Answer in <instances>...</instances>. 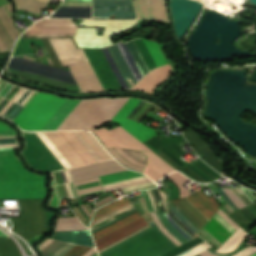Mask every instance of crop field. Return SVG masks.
<instances>
[{
  "mask_svg": "<svg viewBox=\"0 0 256 256\" xmlns=\"http://www.w3.org/2000/svg\"><path fill=\"white\" fill-rule=\"evenodd\" d=\"M128 99H67L42 130H91L110 120Z\"/></svg>",
  "mask_w": 256,
  "mask_h": 256,
  "instance_id": "1",
  "label": "crop field"
},
{
  "mask_svg": "<svg viewBox=\"0 0 256 256\" xmlns=\"http://www.w3.org/2000/svg\"><path fill=\"white\" fill-rule=\"evenodd\" d=\"M129 202L130 201L126 197H124V198H122V199H120V200H118L114 203H111V204L95 211L92 220L101 216V215H103V214H106V213H108V212H110V211H112L116 208H119V207H121V206H123V205H125ZM135 213H137L136 209L133 207V205L131 203H129V204H127V205H125V206H123L119 209H116V210H114V211H112V212H110L106 215H103V216L91 221V233L93 234V233H95V232H97V231H99V230H101L105 227H108V226H110V225H112V224H114V223H116V222H118L122 219H125V218H127V217H129V216H131ZM139 218H141V216H140L139 213H137V214L125 219V220H122V221H120V222H118V223H116V224H114V225H112L108 228H105V229L93 234L92 236L95 240V239H97V238H99V237H101V236H103V235H105L109 232H112V231H114V230H116V229H118V228H120L124 225H127V224H129V223H131V222H133V221H135ZM146 224L147 223L143 220V218H141V219H139V220L127 225V226H124V227H122V228H120V229H118V230H116L112 233H109V234L95 240V243L97 245V249L106 245V244H108V243H110V242H112V241H114V240H116V239H118V238H120V237H122V236H124V235H126V234H128V233H130V232H132V231H134V230H136V229H138V228H140V227H142V226H144V225H146ZM148 228H150V227L147 225V226H145V227H143V228H141V229H139V230H137V231H135V232H133V233H131V234H129V235H127V236H125V237H123V238H121V239H119V240L101 248V249H99L98 252L101 253V252H103V251H105V250H107V249L125 241L126 239H128V238H130V237H132V236H134V235H136V234H138V233H140V232H142V231H144Z\"/></svg>",
  "mask_w": 256,
  "mask_h": 256,
  "instance_id": "2",
  "label": "crop field"
},
{
  "mask_svg": "<svg viewBox=\"0 0 256 256\" xmlns=\"http://www.w3.org/2000/svg\"><path fill=\"white\" fill-rule=\"evenodd\" d=\"M44 180L26 171L14 150L0 151V199H43Z\"/></svg>",
  "mask_w": 256,
  "mask_h": 256,
  "instance_id": "3",
  "label": "crop field"
},
{
  "mask_svg": "<svg viewBox=\"0 0 256 256\" xmlns=\"http://www.w3.org/2000/svg\"><path fill=\"white\" fill-rule=\"evenodd\" d=\"M44 133L73 167L112 158L89 132L70 131Z\"/></svg>",
  "mask_w": 256,
  "mask_h": 256,
  "instance_id": "4",
  "label": "crop field"
},
{
  "mask_svg": "<svg viewBox=\"0 0 256 256\" xmlns=\"http://www.w3.org/2000/svg\"><path fill=\"white\" fill-rule=\"evenodd\" d=\"M77 48L73 38H71ZM54 66L62 67L64 64L74 62L70 68L77 79L81 89H103L94 70L92 69L84 51H76L71 40L50 41L54 53L47 38L41 39Z\"/></svg>",
  "mask_w": 256,
  "mask_h": 256,
  "instance_id": "5",
  "label": "crop field"
},
{
  "mask_svg": "<svg viewBox=\"0 0 256 256\" xmlns=\"http://www.w3.org/2000/svg\"><path fill=\"white\" fill-rule=\"evenodd\" d=\"M21 132L26 143L21 153L31 168L50 173L72 167L43 132Z\"/></svg>",
  "mask_w": 256,
  "mask_h": 256,
  "instance_id": "6",
  "label": "crop field"
},
{
  "mask_svg": "<svg viewBox=\"0 0 256 256\" xmlns=\"http://www.w3.org/2000/svg\"><path fill=\"white\" fill-rule=\"evenodd\" d=\"M183 140H185L183 135L161 140H158L157 136H154L145 142L159 151L158 154L156 153L157 155H159L177 170L193 180L198 182H210L221 178L219 174H217L213 169H211L201 160L192 166H189L184 161H182L179 156L184 153L181 151V147L178 146L175 142Z\"/></svg>",
  "mask_w": 256,
  "mask_h": 256,
  "instance_id": "7",
  "label": "crop field"
},
{
  "mask_svg": "<svg viewBox=\"0 0 256 256\" xmlns=\"http://www.w3.org/2000/svg\"><path fill=\"white\" fill-rule=\"evenodd\" d=\"M175 247L177 246L156 225L99 255L159 256Z\"/></svg>",
  "mask_w": 256,
  "mask_h": 256,
  "instance_id": "8",
  "label": "crop field"
},
{
  "mask_svg": "<svg viewBox=\"0 0 256 256\" xmlns=\"http://www.w3.org/2000/svg\"><path fill=\"white\" fill-rule=\"evenodd\" d=\"M224 192L228 195V197L233 201V203L237 206L238 209L243 208L256 200L249 194L247 189L243 187L239 188H229L223 189ZM222 189H217L218 193L221 195V197L224 199L227 205H225L231 212L238 210L236 206L232 203V201L227 197V195L223 192ZM220 207L219 209L222 210L224 213L228 214L230 211L225 207ZM218 211L213 217L222 224L230 233H234L240 226L237 225L231 218H229L226 214H224L221 211ZM212 217L211 221L208 222L205 226V228L213 235L215 236L222 244L226 239H228L231 234L223 227L221 226L214 218Z\"/></svg>",
  "mask_w": 256,
  "mask_h": 256,
  "instance_id": "9",
  "label": "crop field"
},
{
  "mask_svg": "<svg viewBox=\"0 0 256 256\" xmlns=\"http://www.w3.org/2000/svg\"><path fill=\"white\" fill-rule=\"evenodd\" d=\"M65 98L38 92L14 120L24 130H41Z\"/></svg>",
  "mask_w": 256,
  "mask_h": 256,
  "instance_id": "10",
  "label": "crop field"
},
{
  "mask_svg": "<svg viewBox=\"0 0 256 256\" xmlns=\"http://www.w3.org/2000/svg\"><path fill=\"white\" fill-rule=\"evenodd\" d=\"M43 200H18L21 218H12L15 233L24 235L48 232Z\"/></svg>",
  "mask_w": 256,
  "mask_h": 256,
  "instance_id": "11",
  "label": "crop field"
},
{
  "mask_svg": "<svg viewBox=\"0 0 256 256\" xmlns=\"http://www.w3.org/2000/svg\"><path fill=\"white\" fill-rule=\"evenodd\" d=\"M19 87L9 84L6 81L0 79V110L8 102V100L13 96V94L18 90ZM23 88L14 94V96L9 100V102L0 111V116L9 107V105L15 100V98L21 93ZM36 91L24 89L22 93L16 98V100L10 105V107L4 112L2 116L14 120L15 117L20 113V111L27 105V103L34 97Z\"/></svg>",
  "mask_w": 256,
  "mask_h": 256,
  "instance_id": "12",
  "label": "crop field"
},
{
  "mask_svg": "<svg viewBox=\"0 0 256 256\" xmlns=\"http://www.w3.org/2000/svg\"><path fill=\"white\" fill-rule=\"evenodd\" d=\"M38 22H72L70 19H43ZM74 23H35L20 38L72 37Z\"/></svg>",
  "mask_w": 256,
  "mask_h": 256,
  "instance_id": "13",
  "label": "crop field"
},
{
  "mask_svg": "<svg viewBox=\"0 0 256 256\" xmlns=\"http://www.w3.org/2000/svg\"><path fill=\"white\" fill-rule=\"evenodd\" d=\"M201 228L208 222L192 205L184 198L172 200ZM171 200L168 201L172 215L193 235L201 228L198 227L185 213H183Z\"/></svg>",
  "mask_w": 256,
  "mask_h": 256,
  "instance_id": "14",
  "label": "crop field"
},
{
  "mask_svg": "<svg viewBox=\"0 0 256 256\" xmlns=\"http://www.w3.org/2000/svg\"><path fill=\"white\" fill-rule=\"evenodd\" d=\"M139 101V99L130 98L128 102L121 108V110L114 116L112 121L118 123L121 127L143 142L156 135L155 131L138 122L125 118Z\"/></svg>",
  "mask_w": 256,
  "mask_h": 256,
  "instance_id": "15",
  "label": "crop field"
},
{
  "mask_svg": "<svg viewBox=\"0 0 256 256\" xmlns=\"http://www.w3.org/2000/svg\"><path fill=\"white\" fill-rule=\"evenodd\" d=\"M95 133L105 146L151 151L120 126L111 131L101 128Z\"/></svg>",
  "mask_w": 256,
  "mask_h": 256,
  "instance_id": "16",
  "label": "crop field"
},
{
  "mask_svg": "<svg viewBox=\"0 0 256 256\" xmlns=\"http://www.w3.org/2000/svg\"><path fill=\"white\" fill-rule=\"evenodd\" d=\"M150 213L159 229L177 246L193 238L170 217L169 213Z\"/></svg>",
  "mask_w": 256,
  "mask_h": 256,
  "instance_id": "17",
  "label": "crop field"
},
{
  "mask_svg": "<svg viewBox=\"0 0 256 256\" xmlns=\"http://www.w3.org/2000/svg\"><path fill=\"white\" fill-rule=\"evenodd\" d=\"M123 170H127V169L122 167L115 160H110V161H106V162H102L94 165L73 169V170H70V172H71L73 181L75 182V181L102 176V175L119 172Z\"/></svg>",
  "mask_w": 256,
  "mask_h": 256,
  "instance_id": "18",
  "label": "crop field"
},
{
  "mask_svg": "<svg viewBox=\"0 0 256 256\" xmlns=\"http://www.w3.org/2000/svg\"><path fill=\"white\" fill-rule=\"evenodd\" d=\"M138 19L169 20L165 0H135Z\"/></svg>",
  "mask_w": 256,
  "mask_h": 256,
  "instance_id": "19",
  "label": "crop field"
},
{
  "mask_svg": "<svg viewBox=\"0 0 256 256\" xmlns=\"http://www.w3.org/2000/svg\"><path fill=\"white\" fill-rule=\"evenodd\" d=\"M51 188L53 189L52 196L75 198L76 194L72 184V179L68 170L53 173Z\"/></svg>",
  "mask_w": 256,
  "mask_h": 256,
  "instance_id": "20",
  "label": "crop field"
},
{
  "mask_svg": "<svg viewBox=\"0 0 256 256\" xmlns=\"http://www.w3.org/2000/svg\"><path fill=\"white\" fill-rule=\"evenodd\" d=\"M172 72L171 65L159 67L151 71L132 89L152 92V90L163 80L167 79Z\"/></svg>",
  "mask_w": 256,
  "mask_h": 256,
  "instance_id": "21",
  "label": "crop field"
},
{
  "mask_svg": "<svg viewBox=\"0 0 256 256\" xmlns=\"http://www.w3.org/2000/svg\"><path fill=\"white\" fill-rule=\"evenodd\" d=\"M108 149L116 156L120 162L129 166L130 168L143 171L146 166V156L143 155L140 151L114 148Z\"/></svg>",
  "mask_w": 256,
  "mask_h": 256,
  "instance_id": "22",
  "label": "crop field"
},
{
  "mask_svg": "<svg viewBox=\"0 0 256 256\" xmlns=\"http://www.w3.org/2000/svg\"><path fill=\"white\" fill-rule=\"evenodd\" d=\"M192 145L197 149L201 156L207 161L210 165L215 167L220 172L223 171L222 164L217 158L213 151L196 135L193 131L184 132Z\"/></svg>",
  "mask_w": 256,
  "mask_h": 256,
  "instance_id": "23",
  "label": "crop field"
},
{
  "mask_svg": "<svg viewBox=\"0 0 256 256\" xmlns=\"http://www.w3.org/2000/svg\"><path fill=\"white\" fill-rule=\"evenodd\" d=\"M143 152L148 154V166L143 173L149 178L153 180H158L161 177L167 175L168 173L176 170L152 152Z\"/></svg>",
  "mask_w": 256,
  "mask_h": 256,
  "instance_id": "24",
  "label": "crop field"
},
{
  "mask_svg": "<svg viewBox=\"0 0 256 256\" xmlns=\"http://www.w3.org/2000/svg\"><path fill=\"white\" fill-rule=\"evenodd\" d=\"M187 199L207 218L210 219L219 209L215 200L206 197L200 190L187 197Z\"/></svg>",
  "mask_w": 256,
  "mask_h": 256,
  "instance_id": "25",
  "label": "crop field"
},
{
  "mask_svg": "<svg viewBox=\"0 0 256 256\" xmlns=\"http://www.w3.org/2000/svg\"><path fill=\"white\" fill-rule=\"evenodd\" d=\"M210 247L212 246L199 236L162 256H194Z\"/></svg>",
  "mask_w": 256,
  "mask_h": 256,
  "instance_id": "26",
  "label": "crop field"
},
{
  "mask_svg": "<svg viewBox=\"0 0 256 256\" xmlns=\"http://www.w3.org/2000/svg\"><path fill=\"white\" fill-rule=\"evenodd\" d=\"M146 182H150V180L147 179L145 176H142V177H137V178H133V179L104 184L103 187H104L105 192H108V191H112V190H115L118 188H123V187L146 183ZM155 186L156 185L153 182H150V183H146V184L123 188L122 190L125 194H127L134 190L155 187Z\"/></svg>",
  "mask_w": 256,
  "mask_h": 256,
  "instance_id": "27",
  "label": "crop field"
},
{
  "mask_svg": "<svg viewBox=\"0 0 256 256\" xmlns=\"http://www.w3.org/2000/svg\"><path fill=\"white\" fill-rule=\"evenodd\" d=\"M0 20L3 23L5 29L7 30L9 36L11 37L12 41H14L18 35V32H17L16 28L14 27L4 6L0 7ZM0 38H1L2 42L4 43L6 49H9L12 47V44H11L8 36L6 35L3 27L1 26V24H0ZM1 40H0V51H4L5 48H4Z\"/></svg>",
  "mask_w": 256,
  "mask_h": 256,
  "instance_id": "28",
  "label": "crop field"
},
{
  "mask_svg": "<svg viewBox=\"0 0 256 256\" xmlns=\"http://www.w3.org/2000/svg\"><path fill=\"white\" fill-rule=\"evenodd\" d=\"M228 216L235 220L243 229L247 230L256 224V203Z\"/></svg>",
  "mask_w": 256,
  "mask_h": 256,
  "instance_id": "29",
  "label": "crop field"
},
{
  "mask_svg": "<svg viewBox=\"0 0 256 256\" xmlns=\"http://www.w3.org/2000/svg\"><path fill=\"white\" fill-rule=\"evenodd\" d=\"M156 190H157L158 195H159V197H160V200H161V203H162V205H163L164 211H165V212H168V211H167V207H166L167 195L164 194L165 192L163 193L162 191H160V190H158V189H156ZM156 190H155V188H154V189H147V190H145V192H146V195H147V197H148V200H149V202H150V204H151L152 210H153V211H156V212H164V211H163V208H162V205H161V203H160V200H159V198H158V195H157ZM145 192H144V190L142 191V193H143V195H144V198H145V200H146V203H147L148 210L151 211L150 204H149V202H148V200H147V198H146Z\"/></svg>",
  "mask_w": 256,
  "mask_h": 256,
  "instance_id": "30",
  "label": "crop field"
},
{
  "mask_svg": "<svg viewBox=\"0 0 256 256\" xmlns=\"http://www.w3.org/2000/svg\"><path fill=\"white\" fill-rule=\"evenodd\" d=\"M78 197L103 192L99 177L74 183Z\"/></svg>",
  "mask_w": 256,
  "mask_h": 256,
  "instance_id": "31",
  "label": "crop field"
},
{
  "mask_svg": "<svg viewBox=\"0 0 256 256\" xmlns=\"http://www.w3.org/2000/svg\"><path fill=\"white\" fill-rule=\"evenodd\" d=\"M15 3V9L16 10H24L32 13L39 14V12L47 5L46 3H49L50 0H12Z\"/></svg>",
  "mask_w": 256,
  "mask_h": 256,
  "instance_id": "32",
  "label": "crop field"
},
{
  "mask_svg": "<svg viewBox=\"0 0 256 256\" xmlns=\"http://www.w3.org/2000/svg\"><path fill=\"white\" fill-rule=\"evenodd\" d=\"M154 107V105L141 100L138 105L131 111V113L127 116V118L136 120L140 122L146 114L149 112V110Z\"/></svg>",
  "mask_w": 256,
  "mask_h": 256,
  "instance_id": "33",
  "label": "crop field"
},
{
  "mask_svg": "<svg viewBox=\"0 0 256 256\" xmlns=\"http://www.w3.org/2000/svg\"><path fill=\"white\" fill-rule=\"evenodd\" d=\"M149 52L151 53L157 67L166 64V60L157 44L155 41L143 39Z\"/></svg>",
  "mask_w": 256,
  "mask_h": 256,
  "instance_id": "34",
  "label": "crop field"
},
{
  "mask_svg": "<svg viewBox=\"0 0 256 256\" xmlns=\"http://www.w3.org/2000/svg\"><path fill=\"white\" fill-rule=\"evenodd\" d=\"M142 175L143 174L135 173L130 170H127V171H123V172H119V173H115V174L102 176L100 178H101L102 184H104V183H108V182H112V181H117V180H121V179L137 177V176H142Z\"/></svg>",
  "mask_w": 256,
  "mask_h": 256,
  "instance_id": "35",
  "label": "crop field"
},
{
  "mask_svg": "<svg viewBox=\"0 0 256 256\" xmlns=\"http://www.w3.org/2000/svg\"><path fill=\"white\" fill-rule=\"evenodd\" d=\"M0 254H21L10 238H0Z\"/></svg>",
  "mask_w": 256,
  "mask_h": 256,
  "instance_id": "36",
  "label": "crop field"
},
{
  "mask_svg": "<svg viewBox=\"0 0 256 256\" xmlns=\"http://www.w3.org/2000/svg\"><path fill=\"white\" fill-rule=\"evenodd\" d=\"M167 177L178 185L180 193H181V197L180 198L186 197L189 194H191L187 189H185L183 186L180 185V184H182V183H184V182H186V181H188L190 179L186 178L185 176H183L179 172H173L172 174H170Z\"/></svg>",
  "mask_w": 256,
  "mask_h": 256,
  "instance_id": "37",
  "label": "crop field"
},
{
  "mask_svg": "<svg viewBox=\"0 0 256 256\" xmlns=\"http://www.w3.org/2000/svg\"><path fill=\"white\" fill-rule=\"evenodd\" d=\"M17 146L16 136L0 137V150L15 149Z\"/></svg>",
  "mask_w": 256,
  "mask_h": 256,
  "instance_id": "38",
  "label": "crop field"
},
{
  "mask_svg": "<svg viewBox=\"0 0 256 256\" xmlns=\"http://www.w3.org/2000/svg\"><path fill=\"white\" fill-rule=\"evenodd\" d=\"M71 227H85L81 222H68V223H57L56 228H71ZM87 228H71V229H56V231L64 230H80Z\"/></svg>",
  "mask_w": 256,
  "mask_h": 256,
  "instance_id": "39",
  "label": "crop field"
},
{
  "mask_svg": "<svg viewBox=\"0 0 256 256\" xmlns=\"http://www.w3.org/2000/svg\"><path fill=\"white\" fill-rule=\"evenodd\" d=\"M89 249L88 247H82L76 245L74 248H72L68 253H66L64 256H82L85 254Z\"/></svg>",
  "mask_w": 256,
  "mask_h": 256,
  "instance_id": "40",
  "label": "crop field"
},
{
  "mask_svg": "<svg viewBox=\"0 0 256 256\" xmlns=\"http://www.w3.org/2000/svg\"><path fill=\"white\" fill-rule=\"evenodd\" d=\"M137 200H138V202L140 203L141 207L143 208V210L146 213V214H144L142 216L148 221V223L151 225V227L154 226V223H153V221L151 219V216H150V214H149V212L147 210V207L145 205V201H144L143 197H141V198H139Z\"/></svg>",
  "mask_w": 256,
  "mask_h": 256,
  "instance_id": "41",
  "label": "crop field"
},
{
  "mask_svg": "<svg viewBox=\"0 0 256 256\" xmlns=\"http://www.w3.org/2000/svg\"><path fill=\"white\" fill-rule=\"evenodd\" d=\"M6 134H17L12 129H10L5 123L0 121V135Z\"/></svg>",
  "mask_w": 256,
  "mask_h": 256,
  "instance_id": "42",
  "label": "crop field"
},
{
  "mask_svg": "<svg viewBox=\"0 0 256 256\" xmlns=\"http://www.w3.org/2000/svg\"><path fill=\"white\" fill-rule=\"evenodd\" d=\"M112 200H114V198H113L112 195H111V196H109V197H107V198H105V199H103V200H101V201L95 203L96 208H98V207H100V206H102V205H104V204H106V203H108V202H110V201H112Z\"/></svg>",
  "mask_w": 256,
  "mask_h": 256,
  "instance_id": "43",
  "label": "crop field"
},
{
  "mask_svg": "<svg viewBox=\"0 0 256 256\" xmlns=\"http://www.w3.org/2000/svg\"><path fill=\"white\" fill-rule=\"evenodd\" d=\"M81 207L83 208V210L85 211L87 216L90 218L91 212L93 210L92 207L90 206V204L81 205Z\"/></svg>",
  "mask_w": 256,
  "mask_h": 256,
  "instance_id": "44",
  "label": "crop field"
},
{
  "mask_svg": "<svg viewBox=\"0 0 256 256\" xmlns=\"http://www.w3.org/2000/svg\"><path fill=\"white\" fill-rule=\"evenodd\" d=\"M96 251L95 248H92L91 250H89L85 255L83 256H90L92 255L94 252ZM92 256H97V253L95 252Z\"/></svg>",
  "mask_w": 256,
  "mask_h": 256,
  "instance_id": "45",
  "label": "crop field"
},
{
  "mask_svg": "<svg viewBox=\"0 0 256 256\" xmlns=\"http://www.w3.org/2000/svg\"><path fill=\"white\" fill-rule=\"evenodd\" d=\"M4 6H5L7 12L9 13V15H10V17H11V12H12V5H11V3L6 4V5H4ZM11 19H12V18H11Z\"/></svg>",
  "mask_w": 256,
  "mask_h": 256,
  "instance_id": "46",
  "label": "crop field"
},
{
  "mask_svg": "<svg viewBox=\"0 0 256 256\" xmlns=\"http://www.w3.org/2000/svg\"><path fill=\"white\" fill-rule=\"evenodd\" d=\"M202 255H203V256H216V255H214V254H212V253H209V252H207V251L203 252ZM202 255L200 254V255H198V256H202Z\"/></svg>",
  "mask_w": 256,
  "mask_h": 256,
  "instance_id": "47",
  "label": "crop field"
},
{
  "mask_svg": "<svg viewBox=\"0 0 256 256\" xmlns=\"http://www.w3.org/2000/svg\"><path fill=\"white\" fill-rule=\"evenodd\" d=\"M0 237H8L4 232L0 231Z\"/></svg>",
  "mask_w": 256,
  "mask_h": 256,
  "instance_id": "48",
  "label": "crop field"
},
{
  "mask_svg": "<svg viewBox=\"0 0 256 256\" xmlns=\"http://www.w3.org/2000/svg\"><path fill=\"white\" fill-rule=\"evenodd\" d=\"M8 0H0V4L8 3Z\"/></svg>",
  "mask_w": 256,
  "mask_h": 256,
  "instance_id": "49",
  "label": "crop field"
},
{
  "mask_svg": "<svg viewBox=\"0 0 256 256\" xmlns=\"http://www.w3.org/2000/svg\"><path fill=\"white\" fill-rule=\"evenodd\" d=\"M0 256H21V255H0Z\"/></svg>",
  "mask_w": 256,
  "mask_h": 256,
  "instance_id": "50",
  "label": "crop field"
},
{
  "mask_svg": "<svg viewBox=\"0 0 256 256\" xmlns=\"http://www.w3.org/2000/svg\"><path fill=\"white\" fill-rule=\"evenodd\" d=\"M18 30V29H17ZM18 32H19V34H21L22 33V31H20V30H18Z\"/></svg>",
  "mask_w": 256,
  "mask_h": 256,
  "instance_id": "51",
  "label": "crop field"
}]
</instances>
